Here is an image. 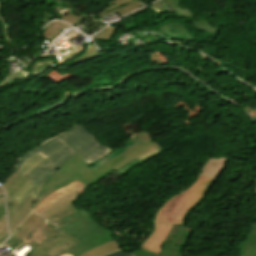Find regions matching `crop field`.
Here are the masks:
<instances>
[{"label": "crop field", "instance_id": "crop-field-1", "mask_svg": "<svg viewBox=\"0 0 256 256\" xmlns=\"http://www.w3.org/2000/svg\"><path fill=\"white\" fill-rule=\"evenodd\" d=\"M40 153L45 158L39 162L25 177L44 184L49 175L55 171L57 167L63 164L75 152L58 137L47 141L41 147L24 155L17 162V171L23 163L36 153ZM51 176V175H50Z\"/></svg>", "mask_w": 256, "mask_h": 256}, {"label": "crop field", "instance_id": "crop-field-2", "mask_svg": "<svg viewBox=\"0 0 256 256\" xmlns=\"http://www.w3.org/2000/svg\"><path fill=\"white\" fill-rule=\"evenodd\" d=\"M215 180L201 175L191 189L172 199L159 211L156 221L183 224L185 214L205 196Z\"/></svg>", "mask_w": 256, "mask_h": 256}, {"label": "crop field", "instance_id": "crop-field-3", "mask_svg": "<svg viewBox=\"0 0 256 256\" xmlns=\"http://www.w3.org/2000/svg\"><path fill=\"white\" fill-rule=\"evenodd\" d=\"M73 148L86 165L110 154L113 150L96 142V137L80 125L58 136Z\"/></svg>", "mask_w": 256, "mask_h": 256}, {"label": "crop field", "instance_id": "crop-field-4", "mask_svg": "<svg viewBox=\"0 0 256 256\" xmlns=\"http://www.w3.org/2000/svg\"><path fill=\"white\" fill-rule=\"evenodd\" d=\"M90 171L92 170L84 164L77 154L72 156L51 176V178L40 190L35 208L38 203L49 194L67 185L68 183L79 179Z\"/></svg>", "mask_w": 256, "mask_h": 256}, {"label": "crop field", "instance_id": "crop-field-5", "mask_svg": "<svg viewBox=\"0 0 256 256\" xmlns=\"http://www.w3.org/2000/svg\"><path fill=\"white\" fill-rule=\"evenodd\" d=\"M156 146L157 145L153 141L149 140V141L123 153L122 155L111 160L110 162L103 165L102 167L88 173L84 177L80 178L78 181L90 186V185L98 182L102 178H104L106 175H108L109 173L114 171L116 168L124 165L131 159L137 157L138 155H140Z\"/></svg>", "mask_w": 256, "mask_h": 256}, {"label": "crop field", "instance_id": "crop-field-6", "mask_svg": "<svg viewBox=\"0 0 256 256\" xmlns=\"http://www.w3.org/2000/svg\"><path fill=\"white\" fill-rule=\"evenodd\" d=\"M76 243L75 239L57 228L26 256H58Z\"/></svg>", "mask_w": 256, "mask_h": 256}, {"label": "crop field", "instance_id": "crop-field-7", "mask_svg": "<svg viewBox=\"0 0 256 256\" xmlns=\"http://www.w3.org/2000/svg\"><path fill=\"white\" fill-rule=\"evenodd\" d=\"M60 229L79 242L106 230L103 226L91 219L89 215L81 217Z\"/></svg>", "mask_w": 256, "mask_h": 256}, {"label": "crop field", "instance_id": "crop-field-8", "mask_svg": "<svg viewBox=\"0 0 256 256\" xmlns=\"http://www.w3.org/2000/svg\"><path fill=\"white\" fill-rule=\"evenodd\" d=\"M171 226L172 224L156 223L155 231L140 248L150 252L160 254L163 240L166 234L168 233L169 229L171 228Z\"/></svg>", "mask_w": 256, "mask_h": 256}, {"label": "crop field", "instance_id": "crop-field-9", "mask_svg": "<svg viewBox=\"0 0 256 256\" xmlns=\"http://www.w3.org/2000/svg\"><path fill=\"white\" fill-rule=\"evenodd\" d=\"M112 239H115L113 234L111 232H109L108 230H106L92 238H89V239L69 248L68 250H66V252L70 253L73 256H78V255L82 254L83 252H85L97 245H100L102 243L110 241Z\"/></svg>", "mask_w": 256, "mask_h": 256}, {"label": "crop field", "instance_id": "crop-field-10", "mask_svg": "<svg viewBox=\"0 0 256 256\" xmlns=\"http://www.w3.org/2000/svg\"><path fill=\"white\" fill-rule=\"evenodd\" d=\"M34 200L29 195L20 204L7 199L10 230L21 219Z\"/></svg>", "mask_w": 256, "mask_h": 256}, {"label": "crop field", "instance_id": "crop-field-11", "mask_svg": "<svg viewBox=\"0 0 256 256\" xmlns=\"http://www.w3.org/2000/svg\"><path fill=\"white\" fill-rule=\"evenodd\" d=\"M185 227L173 224L169 233L167 234L161 256H174L176 244L179 241Z\"/></svg>", "mask_w": 256, "mask_h": 256}, {"label": "crop field", "instance_id": "crop-field-12", "mask_svg": "<svg viewBox=\"0 0 256 256\" xmlns=\"http://www.w3.org/2000/svg\"><path fill=\"white\" fill-rule=\"evenodd\" d=\"M150 139L148 134L146 135H142V136H139V137H136L132 140H130L129 142H127L125 145H123L122 147H120L118 150H116L115 152L113 151L110 155L104 157L103 159L95 162V165L90 167L92 170L105 164L106 162L110 161L111 159L115 158L116 156L122 154L123 152L133 148L134 146L146 141Z\"/></svg>", "mask_w": 256, "mask_h": 256}, {"label": "crop field", "instance_id": "crop-field-13", "mask_svg": "<svg viewBox=\"0 0 256 256\" xmlns=\"http://www.w3.org/2000/svg\"><path fill=\"white\" fill-rule=\"evenodd\" d=\"M83 184L75 181L60 190L54 192L53 194L49 195L46 199H44L42 202L39 203L37 208L34 210V212L39 213L43 211L45 208H47L51 203H53L56 199L60 198L61 196L79 188Z\"/></svg>", "mask_w": 256, "mask_h": 256}, {"label": "crop field", "instance_id": "crop-field-14", "mask_svg": "<svg viewBox=\"0 0 256 256\" xmlns=\"http://www.w3.org/2000/svg\"><path fill=\"white\" fill-rule=\"evenodd\" d=\"M28 181H29V179L13 173L3 183H1V186H3L5 188L6 193H7V198L10 199Z\"/></svg>", "mask_w": 256, "mask_h": 256}, {"label": "crop field", "instance_id": "crop-field-15", "mask_svg": "<svg viewBox=\"0 0 256 256\" xmlns=\"http://www.w3.org/2000/svg\"><path fill=\"white\" fill-rule=\"evenodd\" d=\"M227 163V158L226 157H221L217 159H210V161L205 165V167L202 170V175L218 178L220 175L221 171L225 167Z\"/></svg>", "mask_w": 256, "mask_h": 256}, {"label": "crop field", "instance_id": "crop-field-16", "mask_svg": "<svg viewBox=\"0 0 256 256\" xmlns=\"http://www.w3.org/2000/svg\"><path fill=\"white\" fill-rule=\"evenodd\" d=\"M69 28L71 27L64 23L52 22L46 27L42 36L53 42L58 36L67 31Z\"/></svg>", "mask_w": 256, "mask_h": 256}, {"label": "crop field", "instance_id": "crop-field-17", "mask_svg": "<svg viewBox=\"0 0 256 256\" xmlns=\"http://www.w3.org/2000/svg\"><path fill=\"white\" fill-rule=\"evenodd\" d=\"M119 250L116 240H112L98 247H95L80 256H101Z\"/></svg>", "mask_w": 256, "mask_h": 256}, {"label": "crop field", "instance_id": "crop-field-18", "mask_svg": "<svg viewBox=\"0 0 256 256\" xmlns=\"http://www.w3.org/2000/svg\"><path fill=\"white\" fill-rule=\"evenodd\" d=\"M41 187L40 184L30 180L21 190H19L11 200L20 203L28 194L35 197L37 191Z\"/></svg>", "mask_w": 256, "mask_h": 256}, {"label": "crop field", "instance_id": "crop-field-19", "mask_svg": "<svg viewBox=\"0 0 256 256\" xmlns=\"http://www.w3.org/2000/svg\"><path fill=\"white\" fill-rule=\"evenodd\" d=\"M161 152H162V150H161V148L158 146L157 148H155V149H153V150H151V151H149V152H147V153H145V154H143V155H141V156H139V157H137V158L131 160L130 162H128V163L125 164L124 166H122V167L116 169V171H117L118 173H120V174L123 175V174L126 173L129 169H131L133 166H135V165L139 164L140 162H142V161H144V160H146V159H148V158H150V157H152V156H154V155H157V154H159V153H161Z\"/></svg>", "mask_w": 256, "mask_h": 256}, {"label": "crop field", "instance_id": "crop-field-20", "mask_svg": "<svg viewBox=\"0 0 256 256\" xmlns=\"http://www.w3.org/2000/svg\"><path fill=\"white\" fill-rule=\"evenodd\" d=\"M138 7H141V2L139 0H134L130 4L121 6V7L116 8V9H113L111 11H108V12H106L104 14H101V15H98L96 17L101 18V17H104V16H106L108 14H111L114 11H117L119 13V15L122 16V15H124V14H126V13H128V12H130V11L136 9V8H138Z\"/></svg>", "mask_w": 256, "mask_h": 256}, {"label": "crop field", "instance_id": "crop-field-21", "mask_svg": "<svg viewBox=\"0 0 256 256\" xmlns=\"http://www.w3.org/2000/svg\"><path fill=\"white\" fill-rule=\"evenodd\" d=\"M43 158L44 157H42L40 154L37 153L32 158H30L27 162L24 163V165L18 171V174L24 176L29 170H31Z\"/></svg>", "mask_w": 256, "mask_h": 256}, {"label": "crop field", "instance_id": "crop-field-22", "mask_svg": "<svg viewBox=\"0 0 256 256\" xmlns=\"http://www.w3.org/2000/svg\"><path fill=\"white\" fill-rule=\"evenodd\" d=\"M254 244H256V231L252 229L248 233L240 247L242 255H244V253Z\"/></svg>", "mask_w": 256, "mask_h": 256}, {"label": "crop field", "instance_id": "crop-field-23", "mask_svg": "<svg viewBox=\"0 0 256 256\" xmlns=\"http://www.w3.org/2000/svg\"><path fill=\"white\" fill-rule=\"evenodd\" d=\"M87 214L88 213L85 212V211H78V212H75V213L65 217V218H62V219L56 221L55 222L56 224H54V223H52V224H54L55 226H57L59 228V227L65 225V224H67V223H69V222H71V221H73V220H75V219H77L81 216L87 215Z\"/></svg>", "mask_w": 256, "mask_h": 256}, {"label": "crop field", "instance_id": "crop-field-24", "mask_svg": "<svg viewBox=\"0 0 256 256\" xmlns=\"http://www.w3.org/2000/svg\"><path fill=\"white\" fill-rule=\"evenodd\" d=\"M75 211H78V210L75 207V205L72 204V205L68 206L67 208L63 209L62 211L58 212L57 214L53 215L52 217H50V218H48L46 220H48L49 222L52 223V222H54V221H56V220H58V219H60V218H62L64 216H66V215H69V214H71V213H73Z\"/></svg>", "mask_w": 256, "mask_h": 256}, {"label": "crop field", "instance_id": "crop-field-25", "mask_svg": "<svg viewBox=\"0 0 256 256\" xmlns=\"http://www.w3.org/2000/svg\"><path fill=\"white\" fill-rule=\"evenodd\" d=\"M187 229V228H186ZM192 229L190 231H186L184 232L181 240L179 241V243L177 244V248H176V254L175 256H184L183 255V251H182V248L184 246V244L186 243L187 239L189 238V236L191 235L192 233Z\"/></svg>", "mask_w": 256, "mask_h": 256}, {"label": "crop field", "instance_id": "crop-field-26", "mask_svg": "<svg viewBox=\"0 0 256 256\" xmlns=\"http://www.w3.org/2000/svg\"><path fill=\"white\" fill-rule=\"evenodd\" d=\"M115 30H116L115 27H112V26L109 25L103 31H101L96 36H94L93 38H103V39H109L110 40L112 35L114 34Z\"/></svg>", "mask_w": 256, "mask_h": 256}, {"label": "crop field", "instance_id": "crop-field-27", "mask_svg": "<svg viewBox=\"0 0 256 256\" xmlns=\"http://www.w3.org/2000/svg\"><path fill=\"white\" fill-rule=\"evenodd\" d=\"M176 14L179 17H191V18H195L196 14L191 12L186 6H181L178 8Z\"/></svg>", "mask_w": 256, "mask_h": 256}, {"label": "crop field", "instance_id": "crop-field-28", "mask_svg": "<svg viewBox=\"0 0 256 256\" xmlns=\"http://www.w3.org/2000/svg\"><path fill=\"white\" fill-rule=\"evenodd\" d=\"M131 1H132V0H111V2L109 3V6L106 7L104 11H101V12L98 13V14H101V13H103V12H105V11H108V10H110V9L116 8V7H118V6L127 4V3L131 2ZM98 14H96V15H98Z\"/></svg>", "mask_w": 256, "mask_h": 256}, {"label": "crop field", "instance_id": "crop-field-29", "mask_svg": "<svg viewBox=\"0 0 256 256\" xmlns=\"http://www.w3.org/2000/svg\"><path fill=\"white\" fill-rule=\"evenodd\" d=\"M85 16L84 14H80L78 16L67 13L61 20L66 21L72 25L76 24L81 17Z\"/></svg>", "mask_w": 256, "mask_h": 256}, {"label": "crop field", "instance_id": "crop-field-30", "mask_svg": "<svg viewBox=\"0 0 256 256\" xmlns=\"http://www.w3.org/2000/svg\"><path fill=\"white\" fill-rule=\"evenodd\" d=\"M7 235L6 233V221H5V213L0 218V243L2 239Z\"/></svg>", "mask_w": 256, "mask_h": 256}, {"label": "crop field", "instance_id": "crop-field-31", "mask_svg": "<svg viewBox=\"0 0 256 256\" xmlns=\"http://www.w3.org/2000/svg\"><path fill=\"white\" fill-rule=\"evenodd\" d=\"M165 4V6H169L172 8V10H176L178 5H180L181 0H161Z\"/></svg>", "mask_w": 256, "mask_h": 256}, {"label": "crop field", "instance_id": "crop-field-32", "mask_svg": "<svg viewBox=\"0 0 256 256\" xmlns=\"http://www.w3.org/2000/svg\"><path fill=\"white\" fill-rule=\"evenodd\" d=\"M151 10H153L156 13H161V12H165L166 9L164 6L161 5V3L158 1L152 5H150L149 7Z\"/></svg>", "mask_w": 256, "mask_h": 256}, {"label": "crop field", "instance_id": "crop-field-33", "mask_svg": "<svg viewBox=\"0 0 256 256\" xmlns=\"http://www.w3.org/2000/svg\"><path fill=\"white\" fill-rule=\"evenodd\" d=\"M133 254H134V256H160L158 254L146 252V251L141 250V249L138 250V251H134Z\"/></svg>", "mask_w": 256, "mask_h": 256}, {"label": "crop field", "instance_id": "crop-field-34", "mask_svg": "<svg viewBox=\"0 0 256 256\" xmlns=\"http://www.w3.org/2000/svg\"><path fill=\"white\" fill-rule=\"evenodd\" d=\"M188 22H192L193 25H194V27H196L197 29H199V28H201V27H203V26L209 24V23H210V20L195 21V22L189 20Z\"/></svg>", "mask_w": 256, "mask_h": 256}, {"label": "crop field", "instance_id": "crop-field-35", "mask_svg": "<svg viewBox=\"0 0 256 256\" xmlns=\"http://www.w3.org/2000/svg\"><path fill=\"white\" fill-rule=\"evenodd\" d=\"M33 209L29 208V210L26 212V214L23 216V218L16 224V226L13 228V230L10 232V234L12 235L14 233V231L19 227V225L25 220V218L30 214V212Z\"/></svg>", "mask_w": 256, "mask_h": 256}, {"label": "crop field", "instance_id": "crop-field-36", "mask_svg": "<svg viewBox=\"0 0 256 256\" xmlns=\"http://www.w3.org/2000/svg\"><path fill=\"white\" fill-rule=\"evenodd\" d=\"M252 228L256 230V225H253ZM244 256H256V245L251 247Z\"/></svg>", "mask_w": 256, "mask_h": 256}, {"label": "crop field", "instance_id": "crop-field-37", "mask_svg": "<svg viewBox=\"0 0 256 256\" xmlns=\"http://www.w3.org/2000/svg\"><path fill=\"white\" fill-rule=\"evenodd\" d=\"M106 256H132V254H125L122 251L114 252Z\"/></svg>", "mask_w": 256, "mask_h": 256}, {"label": "crop field", "instance_id": "crop-field-38", "mask_svg": "<svg viewBox=\"0 0 256 256\" xmlns=\"http://www.w3.org/2000/svg\"><path fill=\"white\" fill-rule=\"evenodd\" d=\"M168 17H169V15H164L163 17H161V18L157 19L156 21L152 22L151 25H154V24H156V23H158V22H162V21H164L165 19H167ZM151 25H150V26H151Z\"/></svg>", "mask_w": 256, "mask_h": 256}, {"label": "crop field", "instance_id": "crop-field-39", "mask_svg": "<svg viewBox=\"0 0 256 256\" xmlns=\"http://www.w3.org/2000/svg\"><path fill=\"white\" fill-rule=\"evenodd\" d=\"M5 212V208H4V202L1 203L0 205V217L2 216V214Z\"/></svg>", "mask_w": 256, "mask_h": 256}, {"label": "crop field", "instance_id": "crop-field-40", "mask_svg": "<svg viewBox=\"0 0 256 256\" xmlns=\"http://www.w3.org/2000/svg\"><path fill=\"white\" fill-rule=\"evenodd\" d=\"M3 201V198H2V191L0 190V203Z\"/></svg>", "mask_w": 256, "mask_h": 256}, {"label": "crop field", "instance_id": "crop-field-41", "mask_svg": "<svg viewBox=\"0 0 256 256\" xmlns=\"http://www.w3.org/2000/svg\"><path fill=\"white\" fill-rule=\"evenodd\" d=\"M2 2H3V1H0V10H1V6H2ZM0 18H1V14H0Z\"/></svg>", "mask_w": 256, "mask_h": 256}]
</instances>
